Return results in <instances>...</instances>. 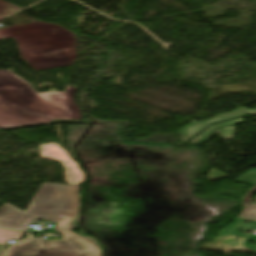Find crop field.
<instances>
[{"label": "crop field", "instance_id": "1", "mask_svg": "<svg viewBox=\"0 0 256 256\" xmlns=\"http://www.w3.org/2000/svg\"><path fill=\"white\" fill-rule=\"evenodd\" d=\"M76 89L67 85L65 92L37 94L10 70H0V127L80 121V108L74 103Z\"/></svg>", "mask_w": 256, "mask_h": 256}, {"label": "crop field", "instance_id": "2", "mask_svg": "<svg viewBox=\"0 0 256 256\" xmlns=\"http://www.w3.org/2000/svg\"><path fill=\"white\" fill-rule=\"evenodd\" d=\"M14 37L22 59L36 71L72 65L73 33L57 24L36 22L0 29V39Z\"/></svg>", "mask_w": 256, "mask_h": 256}, {"label": "crop field", "instance_id": "3", "mask_svg": "<svg viewBox=\"0 0 256 256\" xmlns=\"http://www.w3.org/2000/svg\"><path fill=\"white\" fill-rule=\"evenodd\" d=\"M81 186L43 183L26 213L4 204L0 208V226L27 230L35 217L58 222L56 230L76 229L72 221L76 217L80 202L78 192ZM61 216H65L61 218Z\"/></svg>", "mask_w": 256, "mask_h": 256}, {"label": "crop field", "instance_id": "4", "mask_svg": "<svg viewBox=\"0 0 256 256\" xmlns=\"http://www.w3.org/2000/svg\"><path fill=\"white\" fill-rule=\"evenodd\" d=\"M6 256H101V250L93 238L76 235L64 242L24 241Z\"/></svg>", "mask_w": 256, "mask_h": 256}, {"label": "crop field", "instance_id": "5", "mask_svg": "<svg viewBox=\"0 0 256 256\" xmlns=\"http://www.w3.org/2000/svg\"><path fill=\"white\" fill-rule=\"evenodd\" d=\"M41 158H47L60 162L65 167L66 182L80 185L85 181L84 172L75 163L66 150L59 148L57 143L40 146Z\"/></svg>", "mask_w": 256, "mask_h": 256}, {"label": "crop field", "instance_id": "6", "mask_svg": "<svg viewBox=\"0 0 256 256\" xmlns=\"http://www.w3.org/2000/svg\"><path fill=\"white\" fill-rule=\"evenodd\" d=\"M247 114H256V109L250 110V109H247L244 107H240V108H236L235 110H233L227 114L219 115V116H217L211 120H208V121H204L201 123L194 121V122L182 127L178 131L179 140H180V142L184 143L185 141H187L189 138L194 136L196 133H198L200 130H202L204 127H206L210 123L222 121V120L233 118V117L243 116V115H247Z\"/></svg>", "mask_w": 256, "mask_h": 256}, {"label": "crop field", "instance_id": "7", "mask_svg": "<svg viewBox=\"0 0 256 256\" xmlns=\"http://www.w3.org/2000/svg\"><path fill=\"white\" fill-rule=\"evenodd\" d=\"M243 122H244V119L240 118V119H236V120L222 122V123L212 125L210 128H208L206 131L201 133L199 136H197L195 139H193L189 143L200 145V144L210 140L213 133L215 132V130L217 128L220 129V131L222 132L225 139L232 138L233 134H234V131L236 129V127L234 125L240 124V123H243Z\"/></svg>", "mask_w": 256, "mask_h": 256}, {"label": "crop field", "instance_id": "8", "mask_svg": "<svg viewBox=\"0 0 256 256\" xmlns=\"http://www.w3.org/2000/svg\"><path fill=\"white\" fill-rule=\"evenodd\" d=\"M255 191L256 187H253L244 197H242L241 203L244 206V209L239 217L256 221V202L252 203L250 199V196Z\"/></svg>", "mask_w": 256, "mask_h": 256}, {"label": "crop field", "instance_id": "9", "mask_svg": "<svg viewBox=\"0 0 256 256\" xmlns=\"http://www.w3.org/2000/svg\"><path fill=\"white\" fill-rule=\"evenodd\" d=\"M244 221H245V219H240V218L235 219L225 229H222L221 231H219L217 236H221V237H227L230 235H233L236 237L246 236V235H243V234L235 231Z\"/></svg>", "mask_w": 256, "mask_h": 256}, {"label": "crop field", "instance_id": "10", "mask_svg": "<svg viewBox=\"0 0 256 256\" xmlns=\"http://www.w3.org/2000/svg\"><path fill=\"white\" fill-rule=\"evenodd\" d=\"M22 235L21 232L0 229V244H4L11 239L19 240Z\"/></svg>", "mask_w": 256, "mask_h": 256}, {"label": "crop field", "instance_id": "11", "mask_svg": "<svg viewBox=\"0 0 256 256\" xmlns=\"http://www.w3.org/2000/svg\"><path fill=\"white\" fill-rule=\"evenodd\" d=\"M20 8L10 5L2 0H0V17L12 13Z\"/></svg>", "mask_w": 256, "mask_h": 256}, {"label": "crop field", "instance_id": "12", "mask_svg": "<svg viewBox=\"0 0 256 256\" xmlns=\"http://www.w3.org/2000/svg\"><path fill=\"white\" fill-rule=\"evenodd\" d=\"M59 233H61L63 235V240H55V241H64L74 235H76V233L72 232V231H58ZM28 240H44L42 238H34V239H28ZM46 241V240H44Z\"/></svg>", "mask_w": 256, "mask_h": 256}, {"label": "crop field", "instance_id": "13", "mask_svg": "<svg viewBox=\"0 0 256 256\" xmlns=\"http://www.w3.org/2000/svg\"><path fill=\"white\" fill-rule=\"evenodd\" d=\"M249 240H252V241L256 242V235H255V234L251 235V236H250L249 238H247V239L244 241V243H243L244 246H246V247H248V248H250V249L256 251V245H255V246H250V245H248Z\"/></svg>", "mask_w": 256, "mask_h": 256}, {"label": "crop field", "instance_id": "14", "mask_svg": "<svg viewBox=\"0 0 256 256\" xmlns=\"http://www.w3.org/2000/svg\"><path fill=\"white\" fill-rule=\"evenodd\" d=\"M225 243L230 244V245H232V246H235V245H237V244H238V241H237V240H235V239H233V240H230V241L225 242Z\"/></svg>", "mask_w": 256, "mask_h": 256}, {"label": "crop field", "instance_id": "15", "mask_svg": "<svg viewBox=\"0 0 256 256\" xmlns=\"http://www.w3.org/2000/svg\"><path fill=\"white\" fill-rule=\"evenodd\" d=\"M6 249H7V248L1 247V245H0V256L3 254V252H4Z\"/></svg>", "mask_w": 256, "mask_h": 256}, {"label": "crop field", "instance_id": "16", "mask_svg": "<svg viewBox=\"0 0 256 256\" xmlns=\"http://www.w3.org/2000/svg\"><path fill=\"white\" fill-rule=\"evenodd\" d=\"M73 60L75 59L76 57V53H72V54H68Z\"/></svg>", "mask_w": 256, "mask_h": 256}, {"label": "crop field", "instance_id": "17", "mask_svg": "<svg viewBox=\"0 0 256 256\" xmlns=\"http://www.w3.org/2000/svg\"><path fill=\"white\" fill-rule=\"evenodd\" d=\"M256 186V185H255Z\"/></svg>", "mask_w": 256, "mask_h": 256}, {"label": "crop field", "instance_id": "18", "mask_svg": "<svg viewBox=\"0 0 256 256\" xmlns=\"http://www.w3.org/2000/svg\"><path fill=\"white\" fill-rule=\"evenodd\" d=\"M1 153V152H0Z\"/></svg>", "mask_w": 256, "mask_h": 256}]
</instances>
